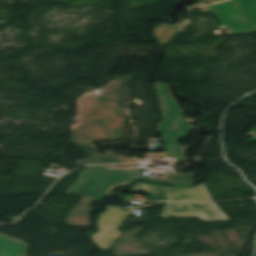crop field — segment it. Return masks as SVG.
I'll return each instance as SVG.
<instances>
[{"label":"crop field","mask_w":256,"mask_h":256,"mask_svg":"<svg viewBox=\"0 0 256 256\" xmlns=\"http://www.w3.org/2000/svg\"><path fill=\"white\" fill-rule=\"evenodd\" d=\"M140 189L148 192L150 201H172L164 186H151L139 183L132 187L130 191L137 192Z\"/></svg>","instance_id":"28ad6ade"},{"label":"crop field","mask_w":256,"mask_h":256,"mask_svg":"<svg viewBox=\"0 0 256 256\" xmlns=\"http://www.w3.org/2000/svg\"><path fill=\"white\" fill-rule=\"evenodd\" d=\"M87 155L86 159L76 161L77 166L103 163L135 162L134 159L125 157L122 154L98 155L96 147L79 146Z\"/></svg>","instance_id":"d8731c3e"},{"label":"crop field","mask_w":256,"mask_h":256,"mask_svg":"<svg viewBox=\"0 0 256 256\" xmlns=\"http://www.w3.org/2000/svg\"><path fill=\"white\" fill-rule=\"evenodd\" d=\"M98 94H100V90L94 93H91L87 96L98 95ZM87 96H84V97H87ZM84 97L77 100L73 129L80 126Z\"/></svg>","instance_id":"22f410ed"},{"label":"crop field","mask_w":256,"mask_h":256,"mask_svg":"<svg viewBox=\"0 0 256 256\" xmlns=\"http://www.w3.org/2000/svg\"><path fill=\"white\" fill-rule=\"evenodd\" d=\"M92 202L82 198L69 212L67 226L90 228Z\"/></svg>","instance_id":"e52e79f7"},{"label":"crop field","mask_w":256,"mask_h":256,"mask_svg":"<svg viewBox=\"0 0 256 256\" xmlns=\"http://www.w3.org/2000/svg\"><path fill=\"white\" fill-rule=\"evenodd\" d=\"M161 217H200L207 222L229 219L213 202L167 204Z\"/></svg>","instance_id":"dd49c442"},{"label":"crop field","mask_w":256,"mask_h":256,"mask_svg":"<svg viewBox=\"0 0 256 256\" xmlns=\"http://www.w3.org/2000/svg\"><path fill=\"white\" fill-rule=\"evenodd\" d=\"M228 30L229 36L256 32V0H233L210 6Z\"/></svg>","instance_id":"412701ff"},{"label":"crop field","mask_w":256,"mask_h":256,"mask_svg":"<svg viewBox=\"0 0 256 256\" xmlns=\"http://www.w3.org/2000/svg\"><path fill=\"white\" fill-rule=\"evenodd\" d=\"M202 1H204V2H206V3H208V4H211V3L220 2V1H222V0H202Z\"/></svg>","instance_id":"d9b57169"},{"label":"crop field","mask_w":256,"mask_h":256,"mask_svg":"<svg viewBox=\"0 0 256 256\" xmlns=\"http://www.w3.org/2000/svg\"><path fill=\"white\" fill-rule=\"evenodd\" d=\"M199 10L202 11V12H210L209 6L203 7V8H199Z\"/></svg>","instance_id":"733c2abd"},{"label":"crop field","mask_w":256,"mask_h":256,"mask_svg":"<svg viewBox=\"0 0 256 256\" xmlns=\"http://www.w3.org/2000/svg\"><path fill=\"white\" fill-rule=\"evenodd\" d=\"M202 5H206V3L201 1V3H199V4H196V5H193V6H190V7H186V8H183V9L188 10V9H191V8H194V7H198V6H202Z\"/></svg>","instance_id":"5142ce71"},{"label":"crop field","mask_w":256,"mask_h":256,"mask_svg":"<svg viewBox=\"0 0 256 256\" xmlns=\"http://www.w3.org/2000/svg\"><path fill=\"white\" fill-rule=\"evenodd\" d=\"M136 164L91 166L82 171L78 181L66 193H76L97 201L109 197L112 187L139 176Z\"/></svg>","instance_id":"34b2d1b8"},{"label":"crop field","mask_w":256,"mask_h":256,"mask_svg":"<svg viewBox=\"0 0 256 256\" xmlns=\"http://www.w3.org/2000/svg\"><path fill=\"white\" fill-rule=\"evenodd\" d=\"M173 201L212 200L204 184L189 189H173L166 187Z\"/></svg>","instance_id":"5a996713"},{"label":"crop field","mask_w":256,"mask_h":256,"mask_svg":"<svg viewBox=\"0 0 256 256\" xmlns=\"http://www.w3.org/2000/svg\"><path fill=\"white\" fill-rule=\"evenodd\" d=\"M187 21H180L176 24L167 25L162 24L154 33V35L160 40V43L164 44L168 42L178 29H182Z\"/></svg>","instance_id":"d1516ede"},{"label":"crop field","mask_w":256,"mask_h":256,"mask_svg":"<svg viewBox=\"0 0 256 256\" xmlns=\"http://www.w3.org/2000/svg\"><path fill=\"white\" fill-rule=\"evenodd\" d=\"M167 176H168L167 179L157 178L156 181L190 184V182H189V176L190 175L167 174Z\"/></svg>","instance_id":"cbeb9de0"},{"label":"crop field","mask_w":256,"mask_h":256,"mask_svg":"<svg viewBox=\"0 0 256 256\" xmlns=\"http://www.w3.org/2000/svg\"><path fill=\"white\" fill-rule=\"evenodd\" d=\"M26 243L0 234V256H25Z\"/></svg>","instance_id":"3316defc"},{"label":"crop field","mask_w":256,"mask_h":256,"mask_svg":"<svg viewBox=\"0 0 256 256\" xmlns=\"http://www.w3.org/2000/svg\"><path fill=\"white\" fill-rule=\"evenodd\" d=\"M134 75L120 77L102 88L101 95L85 98L81 126L73 130L72 143L93 145V139L123 137L127 85Z\"/></svg>","instance_id":"8a807250"},{"label":"crop field","mask_w":256,"mask_h":256,"mask_svg":"<svg viewBox=\"0 0 256 256\" xmlns=\"http://www.w3.org/2000/svg\"><path fill=\"white\" fill-rule=\"evenodd\" d=\"M108 210L100 215L97 220L98 232L90 235L96 245L102 250L110 249L120 235L117 228L123 223L129 208L107 206Z\"/></svg>","instance_id":"f4fd0767"},{"label":"crop field","mask_w":256,"mask_h":256,"mask_svg":"<svg viewBox=\"0 0 256 256\" xmlns=\"http://www.w3.org/2000/svg\"><path fill=\"white\" fill-rule=\"evenodd\" d=\"M160 100L163 122L159 123L166 152L155 153L152 158L168 159L174 164L190 161L183 156L184 147L180 140L187 138L192 131L190 121L185 119V111L173 100L166 83L155 82Z\"/></svg>","instance_id":"ac0d7876"}]
</instances>
